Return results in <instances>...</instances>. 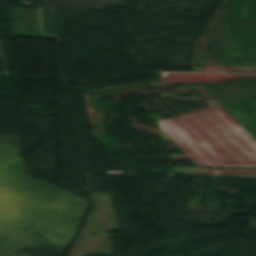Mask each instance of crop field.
<instances>
[{"label": "crop field", "mask_w": 256, "mask_h": 256, "mask_svg": "<svg viewBox=\"0 0 256 256\" xmlns=\"http://www.w3.org/2000/svg\"><path fill=\"white\" fill-rule=\"evenodd\" d=\"M205 119L219 130L224 144H189L211 166L256 167V147L222 113Z\"/></svg>", "instance_id": "1"}, {"label": "crop field", "mask_w": 256, "mask_h": 256, "mask_svg": "<svg viewBox=\"0 0 256 256\" xmlns=\"http://www.w3.org/2000/svg\"><path fill=\"white\" fill-rule=\"evenodd\" d=\"M220 112L215 107L203 109L189 113L180 117L173 118L195 141L206 145L223 143L218 135V130L214 128L203 117L212 116Z\"/></svg>", "instance_id": "2"}, {"label": "crop field", "mask_w": 256, "mask_h": 256, "mask_svg": "<svg viewBox=\"0 0 256 256\" xmlns=\"http://www.w3.org/2000/svg\"><path fill=\"white\" fill-rule=\"evenodd\" d=\"M163 131L197 166H210L165 120L159 121Z\"/></svg>", "instance_id": "3"}, {"label": "crop field", "mask_w": 256, "mask_h": 256, "mask_svg": "<svg viewBox=\"0 0 256 256\" xmlns=\"http://www.w3.org/2000/svg\"><path fill=\"white\" fill-rule=\"evenodd\" d=\"M205 173H227V174H256L254 169H220L211 170L209 168H201Z\"/></svg>", "instance_id": "4"}, {"label": "crop field", "mask_w": 256, "mask_h": 256, "mask_svg": "<svg viewBox=\"0 0 256 256\" xmlns=\"http://www.w3.org/2000/svg\"><path fill=\"white\" fill-rule=\"evenodd\" d=\"M215 107H217L256 146V139L250 135L221 105Z\"/></svg>", "instance_id": "5"}, {"label": "crop field", "mask_w": 256, "mask_h": 256, "mask_svg": "<svg viewBox=\"0 0 256 256\" xmlns=\"http://www.w3.org/2000/svg\"><path fill=\"white\" fill-rule=\"evenodd\" d=\"M187 142L194 141L173 119L166 120Z\"/></svg>", "instance_id": "6"}]
</instances>
